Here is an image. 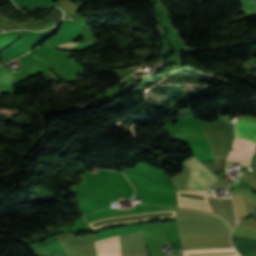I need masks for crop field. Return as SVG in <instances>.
Wrapping results in <instances>:
<instances>
[{"label":"crop field","mask_w":256,"mask_h":256,"mask_svg":"<svg viewBox=\"0 0 256 256\" xmlns=\"http://www.w3.org/2000/svg\"><path fill=\"white\" fill-rule=\"evenodd\" d=\"M14 75L0 68V88L4 93H10L11 89L9 82L13 79Z\"/></svg>","instance_id":"obj_6"},{"label":"crop field","mask_w":256,"mask_h":256,"mask_svg":"<svg viewBox=\"0 0 256 256\" xmlns=\"http://www.w3.org/2000/svg\"><path fill=\"white\" fill-rule=\"evenodd\" d=\"M255 150H256V145H254L251 142L250 146L248 147V149L246 150V152L243 156L241 164L250 166L251 157H252L253 153L255 152Z\"/></svg>","instance_id":"obj_8"},{"label":"crop field","mask_w":256,"mask_h":256,"mask_svg":"<svg viewBox=\"0 0 256 256\" xmlns=\"http://www.w3.org/2000/svg\"><path fill=\"white\" fill-rule=\"evenodd\" d=\"M242 9L247 13L256 14V0L248 1L247 5L242 7Z\"/></svg>","instance_id":"obj_9"},{"label":"crop field","mask_w":256,"mask_h":256,"mask_svg":"<svg viewBox=\"0 0 256 256\" xmlns=\"http://www.w3.org/2000/svg\"><path fill=\"white\" fill-rule=\"evenodd\" d=\"M237 137H244L256 143V122L246 119H241L236 127Z\"/></svg>","instance_id":"obj_3"},{"label":"crop field","mask_w":256,"mask_h":256,"mask_svg":"<svg viewBox=\"0 0 256 256\" xmlns=\"http://www.w3.org/2000/svg\"><path fill=\"white\" fill-rule=\"evenodd\" d=\"M186 165L191 169L186 190L192 189H208L212 186L218 179L213 175L207 168H205L200 162H198L194 157L187 160ZM201 172L204 175L200 174Z\"/></svg>","instance_id":"obj_1"},{"label":"crop field","mask_w":256,"mask_h":256,"mask_svg":"<svg viewBox=\"0 0 256 256\" xmlns=\"http://www.w3.org/2000/svg\"><path fill=\"white\" fill-rule=\"evenodd\" d=\"M232 242L242 256L256 255V241L232 236Z\"/></svg>","instance_id":"obj_4"},{"label":"crop field","mask_w":256,"mask_h":256,"mask_svg":"<svg viewBox=\"0 0 256 256\" xmlns=\"http://www.w3.org/2000/svg\"><path fill=\"white\" fill-rule=\"evenodd\" d=\"M236 209L237 221L247 216L245 204L241 193L231 195Z\"/></svg>","instance_id":"obj_5"},{"label":"crop field","mask_w":256,"mask_h":256,"mask_svg":"<svg viewBox=\"0 0 256 256\" xmlns=\"http://www.w3.org/2000/svg\"><path fill=\"white\" fill-rule=\"evenodd\" d=\"M121 256H147L143 232L121 235Z\"/></svg>","instance_id":"obj_2"},{"label":"crop field","mask_w":256,"mask_h":256,"mask_svg":"<svg viewBox=\"0 0 256 256\" xmlns=\"http://www.w3.org/2000/svg\"><path fill=\"white\" fill-rule=\"evenodd\" d=\"M92 41L88 42H68V43H63L55 47H59L61 49H66V50H82L85 49Z\"/></svg>","instance_id":"obj_7"}]
</instances>
